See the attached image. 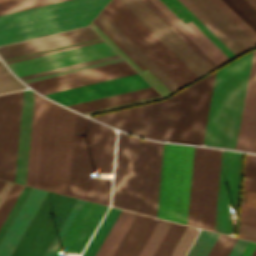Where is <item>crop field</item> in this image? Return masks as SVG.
<instances>
[{
  "label": "crop field",
  "instance_id": "120bbe31",
  "mask_svg": "<svg viewBox=\"0 0 256 256\" xmlns=\"http://www.w3.org/2000/svg\"><path fill=\"white\" fill-rule=\"evenodd\" d=\"M219 234L201 230L186 256H207Z\"/></svg>",
  "mask_w": 256,
  "mask_h": 256
},
{
  "label": "crop field",
  "instance_id": "89e229c0",
  "mask_svg": "<svg viewBox=\"0 0 256 256\" xmlns=\"http://www.w3.org/2000/svg\"><path fill=\"white\" fill-rule=\"evenodd\" d=\"M116 45H118L142 70L146 69L122 44H120L96 19L93 21Z\"/></svg>",
  "mask_w": 256,
  "mask_h": 256
},
{
  "label": "crop field",
  "instance_id": "b54c1fbb",
  "mask_svg": "<svg viewBox=\"0 0 256 256\" xmlns=\"http://www.w3.org/2000/svg\"><path fill=\"white\" fill-rule=\"evenodd\" d=\"M115 58H119V56L115 55V56H111V57H106V58L97 59V60H93V61L83 62V63L65 66V67H61V68H56V69H52V70H47V71H43V72L33 73V74H29V75L20 76L19 78L21 80H24V79H28V78H32V77H37V76H41V75H45V74H50V73H54V72H58V71H63V70L76 68V67H80V66H85V65L98 63V62H102V61H106V60H111V59H115Z\"/></svg>",
  "mask_w": 256,
  "mask_h": 256
},
{
  "label": "crop field",
  "instance_id": "0bd39190",
  "mask_svg": "<svg viewBox=\"0 0 256 256\" xmlns=\"http://www.w3.org/2000/svg\"><path fill=\"white\" fill-rule=\"evenodd\" d=\"M62 0H12L0 3V15Z\"/></svg>",
  "mask_w": 256,
  "mask_h": 256
},
{
  "label": "crop field",
  "instance_id": "5a996713",
  "mask_svg": "<svg viewBox=\"0 0 256 256\" xmlns=\"http://www.w3.org/2000/svg\"><path fill=\"white\" fill-rule=\"evenodd\" d=\"M176 96L93 117L122 130L158 140H169Z\"/></svg>",
  "mask_w": 256,
  "mask_h": 256
},
{
  "label": "crop field",
  "instance_id": "0fb4a251",
  "mask_svg": "<svg viewBox=\"0 0 256 256\" xmlns=\"http://www.w3.org/2000/svg\"><path fill=\"white\" fill-rule=\"evenodd\" d=\"M160 98H162V97L158 96V97L144 99V100L135 101V102H131V103H126V104H122V105H117V106H112V107L103 108V109H99V110L89 111V112H85V114L90 115V114H94V113H99V112H103V111H107V110H112V109H116V108H121V107L129 106V105H134V104H138V103H142V102H147V101H151V100H156V99H160Z\"/></svg>",
  "mask_w": 256,
  "mask_h": 256
},
{
  "label": "crop field",
  "instance_id": "0f1d7ab4",
  "mask_svg": "<svg viewBox=\"0 0 256 256\" xmlns=\"http://www.w3.org/2000/svg\"><path fill=\"white\" fill-rule=\"evenodd\" d=\"M245 163L256 166V156L246 154Z\"/></svg>",
  "mask_w": 256,
  "mask_h": 256
},
{
  "label": "crop field",
  "instance_id": "1d79db26",
  "mask_svg": "<svg viewBox=\"0 0 256 256\" xmlns=\"http://www.w3.org/2000/svg\"><path fill=\"white\" fill-rule=\"evenodd\" d=\"M246 243H247L246 240L237 239L234 247L232 248L228 256H239L243 248L245 247Z\"/></svg>",
  "mask_w": 256,
  "mask_h": 256
},
{
  "label": "crop field",
  "instance_id": "bd1437ed",
  "mask_svg": "<svg viewBox=\"0 0 256 256\" xmlns=\"http://www.w3.org/2000/svg\"><path fill=\"white\" fill-rule=\"evenodd\" d=\"M120 210L111 207L82 256H94Z\"/></svg>",
  "mask_w": 256,
  "mask_h": 256
},
{
  "label": "crop field",
  "instance_id": "78b8030e",
  "mask_svg": "<svg viewBox=\"0 0 256 256\" xmlns=\"http://www.w3.org/2000/svg\"><path fill=\"white\" fill-rule=\"evenodd\" d=\"M11 185H12V183L6 182L5 186L3 185L4 187H3L2 191L0 190L1 191L0 192V204L3 201L4 197L6 196V194H7L8 190L10 189Z\"/></svg>",
  "mask_w": 256,
  "mask_h": 256
},
{
  "label": "crop field",
  "instance_id": "ae1a2a85",
  "mask_svg": "<svg viewBox=\"0 0 256 256\" xmlns=\"http://www.w3.org/2000/svg\"><path fill=\"white\" fill-rule=\"evenodd\" d=\"M136 214L121 210L96 256H112Z\"/></svg>",
  "mask_w": 256,
  "mask_h": 256
},
{
  "label": "crop field",
  "instance_id": "db79e9e6",
  "mask_svg": "<svg viewBox=\"0 0 256 256\" xmlns=\"http://www.w3.org/2000/svg\"><path fill=\"white\" fill-rule=\"evenodd\" d=\"M255 248H256V243L248 241L246 247L244 248L240 256H251Z\"/></svg>",
  "mask_w": 256,
  "mask_h": 256
},
{
  "label": "crop field",
  "instance_id": "d32e631a",
  "mask_svg": "<svg viewBox=\"0 0 256 256\" xmlns=\"http://www.w3.org/2000/svg\"><path fill=\"white\" fill-rule=\"evenodd\" d=\"M170 225L171 222L159 219L138 256H153Z\"/></svg>",
  "mask_w": 256,
  "mask_h": 256
},
{
  "label": "crop field",
  "instance_id": "5d738f31",
  "mask_svg": "<svg viewBox=\"0 0 256 256\" xmlns=\"http://www.w3.org/2000/svg\"><path fill=\"white\" fill-rule=\"evenodd\" d=\"M29 190H30V187L24 186L23 190L21 191L20 195L15 201L13 207L11 208L10 212L8 213L7 217L5 218L4 222L0 227V239L4 234L5 230L7 229L8 225L10 224L11 220L13 219L14 215L16 214L17 210L19 209L21 203L23 202Z\"/></svg>",
  "mask_w": 256,
  "mask_h": 256
},
{
  "label": "crop field",
  "instance_id": "c035e120",
  "mask_svg": "<svg viewBox=\"0 0 256 256\" xmlns=\"http://www.w3.org/2000/svg\"><path fill=\"white\" fill-rule=\"evenodd\" d=\"M197 233L198 231L196 229L187 226L170 256H184Z\"/></svg>",
  "mask_w": 256,
  "mask_h": 256
},
{
  "label": "crop field",
  "instance_id": "1f2cbd36",
  "mask_svg": "<svg viewBox=\"0 0 256 256\" xmlns=\"http://www.w3.org/2000/svg\"><path fill=\"white\" fill-rule=\"evenodd\" d=\"M26 88L16 79L0 82V93Z\"/></svg>",
  "mask_w": 256,
  "mask_h": 256
},
{
  "label": "crop field",
  "instance_id": "3316defc",
  "mask_svg": "<svg viewBox=\"0 0 256 256\" xmlns=\"http://www.w3.org/2000/svg\"><path fill=\"white\" fill-rule=\"evenodd\" d=\"M23 91L0 96V178L13 181Z\"/></svg>",
  "mask_w": 256,
  "mask_h": 256
},
{
  "label": "crop field",
  "instance_id": "425ffa30",
  "mask_svg": "<svg viewBox=\"0 0 256 256\" xmlns=\"http://www.w3.org/2000/svg\"><path fill=\"white\" fill-rule=\"evenodd\" d=\"M238 237L256 241V225L240 221Z\"/></svg>",
  "mask_w": 256,
  "mask_h": 256
},
{
  "label": "crop field",
  "instance_id": "9d1cf04e",
  "mask_svg": "<svg viewBox=\"0 0 256 256\" xmlns=\"http://www.w3.org/2000/svg\"><path fill=\"white\" fill-rule=\"evenodd\" d=\"M244 176L256 179V167L245 164Z\"/></svg>",
  "mask_w": 256,
  "mask_h": 256
},
{
  "label": "crop field",
  "instance_id": "25e5ab78",
  "mask_svg": "<svg viewBox=\"0 0 256 256\" xmlns=\"http://www.w3.org/2000/svg\"><path fill=\"white\" fill-rule=\"evenodd\" d=\"M122 60H123L122 58H119V59H115V60H111V61H106V62H102V63H98V64H93V65H89V66H85V67H80V68H76V69H72V70H67V71H63V72H58V73H54V74H50V75H45V76H41V77H37V78L24 80V82L25 83L32 82V81H36V80H40V79H45V78H49V77H53V76H58V75L71 73V72H75V71H79V70H84V69H88V68H92V67H97V66L114 63V62H118V61H122Z\"/></svg>",
  "mask_w": 256,
  "mask_h": 256
},
{
  "label": "crop field",
  "instance_id": "4a817a6b",
  "mask_svg": "<svg viewBox=\"0 0 256 256\" xmlns=\"http://www.w3.org/2000/svg\"><path fill=\"white\" fill-rule=\"evenodd\" d=\"M98 37L99 36L90 27H86L69 32L3 46L0 47V53L4 57V59H7Z\"/></svg>",
  "mask_w": 256,
  "mask_h": 256
},
{
  "label": "crop field",
  "instance_id": "5142ce71",
  "mask_svg": "<svg viewBox=\"0 0 256 256\" xmlns=\"http://www.w3.org/2000/svg\"><path fill=\"white\" fill-rule=\"evenodd\" d=\"M136 72L125 62H118L41 81L28 83L39 92L46 94L90 83L135 74Z\"/></svg>",
  "mask_w": 256,
  "mask_h": 256
},
{
  "label": "crop field",
  "instance_id": "dafd665d",
  "mask_svg": "<svg viewBox=\"0 0 256 256\" xmlns=\"http://www.w3.org/2000/svg\"><path fill=\"white\" fill-rule=\"evenodd\" d=\"M224 62L235 57L213 34H211L178 0H161Z\"/></svg>",
  "mask_w": 256,
  "mask_h": 256
},
{
  "label": "crop field",
  "instance_id": "00972430",
  "mask_svg": "<svg viewBox=\"0 0 256 256\" xmlns=\"http://www.w3.org/2000/svg\"><path fill=\"white\" fill-rule=\"evenodd\" d=\"M44 105L45 100L35 95L26 185L36 188L38 183Z\"/></svg>",
  "mask_w": 256,
  "mask_h": 256
},
{
  "label": "crop field",
  "instance_id": "c39391a2",
  "mask_svg": "<svg viewBox=\"0 0 256 256\" xmlns=\"http://www.w3.org/2000/svg\"><path fill=\"white\" fill-rule=\"evenodd\" d=\"M7 1V0H0V2Z\"/></svg>",
  "mask_w": 256,
  "mask_h": 256
},
{
  "label": "crop field",
  "instance_id": "cbeb9de0",
  "mask_svg": "<svg viewBox=\"0 0 256 256\" xmlns=\"http://www.w3.org/2000/svg\"><path fill=\"white\" fill-rule=\"evenodd\" d=\"M115 54L116 53L105 42H102L76 49L13 62L9 63L8 65L17 76H20Z\"/></svg>",
  "mask_w": 256,
  "mask_h": 256
},
{
  "label": "crop field",
  "instance_id": "d23c7cc5",
  "mask_svg": "<svg viewBox=\"0 0 256 256\" xmlns=\"http://www.w3.org/2000/svg\"><path fill=\"white\" fill-rule=\"evenodd\" d=\"M218 7H220L243 31H245L255 42L256 35L245 25L243 24L220 0H212Z\"/></svg>",
  "mask_w": 256,
  "mask_h": 256
},
{
  "label": "crop field",
  "instance_id": "dd49c442",
  "mask_svg": "<svg viewBox=\"0 0 256 256\" xmlns=\"http://www.w3.org/2000/svg\"><path fill=\"white\" fill-rule=\"evenodd\" d=\"M221 150L195 147L187 224L214 227Z\"/></svg>",
  "mask_w": 256,
  "mask_h": 256
},
{
  "label": "crop field",
  "instance_id": "7b73153f",
  "mask_svg": "<svg viewBox=\"0 0 256 256\" xmlns=\"http://www.w3.org/2000/svg\"><path fill=\"white\" fill-rule=\"evenodd\" d=\"M243 187L256 190V180L244 177Z\"/></svg>",
  "mask_w": 256,
  "mask_h": 256
},
{
  "label": "crop field",
  "instance_id": "ae633e8c",
  "mask_svg": "<svg viewBox=\"0 0 256 256\" xmlns=\"http://www.w3.org/2000/svg\"><path fill=\"white\" fill-rule=\"evenodd\" d=\"M5 184L4 181H0V190L2 189L3 185Z\"/></svg>",
  "mask_w": 256,
  "mask_h": 256
},
{
  "label": "crop field",
  "instance_id": "92a150f3",
  "mask_svg": "<svg viewBox=\"0 0 256 256\" xmlns=\"http://www.w3.org/2000/svg\"><path fill=\"white\" fill-rule=\"evenodd\" d=\"M242 52L256 43L211 0H189Z\"/></svg>",
  "mask_w": 256,
  "mask_h": 256
},
{
  "label": "crop field",
  "instance_id": "d3111659",
  "mask_svg": "<svg viewBox=\"0 0 256 256\" xmlns=\"http://www.w3.org/2000/svg\"><path fill=\"white\" fill-rule=\"evenodd\" d=\"M101 12L119 30H121L157 67H159L179 88L186 85L147 46H145L120 20H118L106 7Z\"/></svg>",
  "mask_w": 256,
  "mask_h": 256
},
{
  "label": "crop field",
  "instance_id": "412701ff",
  "mask_svg": "<svg viewBox=\"0 0 256 256\" xmlns=\"http://www.w3.org/2000/svg\"><path fill=\"white\" fill-rule=\"evenodd\" d=\"M251 55L216 71L203 144L235 149Z\"/></svg>",
  "mask_w": 256,
  "mask_h": 256
},
{
  "label": "crop field",
  "instance_id": "f4fd0767",
  "mask_svg": "<svg viewBox=\"0 0 256 256\" xmlns=\"http://www.w3.org/2000/svg\"><path fill=\"white\" fill-rule=\"evenodd\" d=\"M74 119L47 101L38 188L68 195Z\"/></svg>",
  "mask_w": 256,
  "mask_h": 256
},
{
  "label": "crop field",
  "instance_id": "1d83c4d3",
  "mask_svg": "<svg viewBox=\"0 0 256 256\" xmlns=\"http://www.w3.org/2000/svg\"><path fill=\"white\" fill-rule=\"evenodd\" d=\"M221 1L256 34V11L245 0L236 1L255 19L251 17L235 0Z\"/></svg>",
  "mask_w": 256,
  "mask_h": 256
},
{
  "label": "crop field",
  "instance_id": "73cf0c24",
  "mask_svg": "<svg viewBox=\"0 0 256 256\" xmlns=\"http://www.w3.org/2000/svg\"><path fill=\"white\" fill-rule=\"evenodd\" d=\"M240 220L256 224V208L241 204Z\"/></svg>",
  "mask_w": 256,
  "mask_h": 256
},
{
  "label": "crop field",
  "instance_id": "d9b57169",
  "mask_svg": "<svg viewBox=\"0 0 256 256\" xmlns=\"http://www.w3.org/2000/svg\"><path fill=\"white\" fill-rule=\"evenodd\" d=\"M138 74L99 82L91 85L46 94L55 100L65 104L81 103L106 96L124 93L136 89L149 87Z\"/></svg>",
  "mask_w": 256,
  "mask_h": 256
},
{
  "label": "crop field",
  "instance_id": "dbb93151",
  "mask_svg": "<svg viewBox=\"0 0 256 256\" xmlns=\"http://www.w3.org/2000/svg\"><path fill=\"white\" fill-rule=\"evenodd\" d=\"M241 203L256 207V191L243 188Z\"/></svg>",
  "mask_w": 256,
  "mask_h": 256
},
{
  "label": "crop field",
  "instance_id": "ac0d7876",
  "mask_svg": "<svg viewBox=\"0 0 256 256\" xmlns=\"http://www.w3.org/2000/svg\"><path fill=\"white\" fill-rule=\"evenodd\" d=\"M104 126L77 114L69 195L109 205L111 179L92 178L112 173L116 133Z\"/></svg>",
  "mask_w": 256,
  "mask_h": 256
},
{
  "label": "crop field",
  "instance_id": "28ad6ade",
  "mask_svg": "<svg viewBox=\"0 0 256 256\" xmlns=\"http://www.w3.org/2000/svg\"><path fill=\"white\" fill-rule=\"evenodd\" d=\"M243 154L222 151L214 231L232 233L235 220L230 209H237Z\"/></svg>",
  "mask_w": 256,
  "mask_h": 256
},
{
  "label": "crop field",
  "instance_id": "eef30255",
  "mask_svg": "<svg viewBox=\"0 0 256 256\" xmlns=\"http://www.w3.org/2000/svg\"><path fill=\"white\" fill-rule=\"evenodd\" d=\"M158 95L159 94L152 87H149V88L136 90V91H132L124 94H119L111 97H106V98L89 101L81 104L70 105V107L78 111L85 112L89 110L99 109L103 107H108V106L117 105L121 103L154 97Z\"/></svg>",
  "mask_w": 256,
  "mask_h": 256
},
{
  "label": "crop field",
  "instance_id": "e1f06a70",
  "mask_svg": "<svg viewBox=\"0 0 256 256\" xmlns=\"http://www.w3.org/2000/svg\"><path fill=\"white\" fill-rule=\"evenodd\" d=\"M184 229V226L172 224L154 256H169Z\"/></svg>",
  "mask_w": 256,
  "mask_h": 256
},
{
  "label": "crop field",
  "instance_id": "22f410ed",
  "mask_svg": "<svg viewBox=\"0 0 256 256\" xmlns=\"http://www.w3.org/2000/svg\"><path fill=\"white\" fill-rule=\"evenodd\" d=\"M123 4V3H122ZM118 0H111L106 6L120 19L145 45H147L172 71L186 84L198 78L184 65L158 38H156L130 11Z\"/></svg>",
  "mask_w": 256,
  "mask_h": 256
},
{
  "label": "crop field",
  "instance_id": "5866460e",
  "mask_svg": "<svg viewBox=\"0 0 256 256\" xmlns=\"http://www.w3.org/2000/svg\"><path fill=\"white\" fill-rule=\"evenodd\" d=\"M148 5L190 48H192L212 69L218 67L206 56L186 35H184L163 13H161L149 0H142Z\"/></svg>",
  "mask_w": 256,
  "mask_h": 256
},
{
  "label": "crop field",
  "instance_id": "750c4746",
  "mask_svg": "<svg viewBox=\"0 0 256 256\" xmlns=\"http://www.w3.org/2000/svg\"><path fill=\"white\" fill-rule=\"evenodd\" d=\"M163 12L184 34H186L206 55L218 66L224 63L210 48H208L180 19H178L160 0H150Z\"/></svg>",
  "mask_w": 256,
  "mask_h": 256
},
{
  "label": "crop field",
  "instance_id": "0765c3eb",
  "mask_svg": "<svg viewBox=\"0 0 256 256\" xmlns=\"http://www.w3.org/2000/svg\"><path fill=\"white\" fill-rule=\"evenodd\" d=\"M102 41L103 40L96 41V42H91V43H87V44H82V45H78V46H74V47H69V48H65V49H60V50H56V51H51V52H47V53H42V54H38V55H33V56H29V57H25V58H20V59H16V60H11V61H7L6 63L13 62V61H18V60H22V59H27V58H31V57H35V56H40V55H44V54H49V53H53V52H58V51H62V50H67V49H71V48H76V47H80V46H84V45H89V44H93V43H98V42H102Z\"/></svg>",
  "mask_w": 256,
  "mask_h": 256
},
{
  "label": "crop field",
  "instance_id": "d14b1444",
  "mask_svg": "<svg viewBox=\"0 0 256 256\" xmlns=\"http://www.w3.org/2000/svg\"><path fill=\"white\" fill-rule=\"evenodd\" d=\"M252 256H256V249H255L254 253L252 254Z\"/></svg>",
  "mask_w": 256,
  "mask_h": 256
},
{
  "label": "crop field",
  "instance_id": "8a807250",
  "mask_svg": "<svg viewBox=\"0 0 256 256\" xmlns=\"http://www.w3.org/2000/svg\"><path fill=\"white\" fill-rule=\"evenodd\" d=\"M144 141L118 133L112 205L137 212ZM163 143L145 140L138 212L156 217ZM194 147L164 143L157 217L186 224Z\"/></svg>",
  "mask_w": 256,
  "mask_h": 256
},
{
  "label": "crop field",
  "instance_id": "d8731c3e",
  "mask_svg": "<svg viewBox=\"0 0 256 256\" xmlns=\"http://www.w3.org/2000/svg\"><path fill=\"white\" fill-rule=\"evenodd\" d=\"M75 201L48 192L11 256H43Z\"/></svg>",
  "mask_w": 256,
  "mask_h": 256
},
{
  "label": "crop field",
  "instance_id": "d1516ede",
  "mask_svg": "<svg viewBox=\"0 0 256 256\" xmlns=\"http://www.w3.org/2000/svg\"><path fill=\"white\" fill-rule=\"evenodd\" d=\"M198 77L212 70L141 0H119Z\"/></svg>",
  "mask_w": 256,
  "mask_h": 256
},
{
  "label": "crop field",
  "instance_id": "a9b5d70f",
  "mask_svg": "<svg viewBox=\"0 0 256 256\" xmlns=\"http://www.w3.org/2000/svg\"><path fill=\"white\" fill-rule=\"evenodd\" d=\"M33 99H34V93L29 90H24L16 177H15L16 183H20L24 185L26 180Z\"/></svg>",
  "mask_w": 256,
  "mask_h": 256
},
{
  "label": "crop field",
  "instance_id": "733c2abd",
  "mask_svg": "<svg viewBox=\"0 0 256 256\" xmlns=\"http://www.w3.org/2000/svg\"><path fill=\"white\" fill-rule=\"evenodd\" d=\"M106 209V206L85 201L53 256H58L63 249L81 252Z\"/></svg>",
  "mask_w": 256,
  "mask_h": 256
},
{
  "label": "crop field",
  "instance_id": "bc2a9ffb",
  "mask_svg": "<svg viewBox=\"0 0 256 256\" xmlns=\"http://www.w3.org/2000/svg\"><path fill=\"white\" fill-rule=\"evenodd\" d=\"M46 194V191L31 188L0 240V256L11 255Z\"/></svg>",
  "mask_w": 256,
  "mask_h": 256
},
{
  "label": "crop field",
  "instance_id": "447ae74e",
  "mask_svg": "<svg viewBox=\"0 0 256 256\" xmlns=\"http://www.w3.org/2000/svg\"><path fill=\"white\" fill-rule=\"evenodd\" d=\"M15 78L13 75H11L6 68L2 65L0 62V81L8 80V79H13Z\"/></svg>",
  "mask_w": 256,
  "mask_h": 256
},
{
  "label": "crop field",
  "instance_id": "e1d0b9f6",
  "mask_svg": "<svg viewBox=\"0 0 256 256\" xmlns=\"http://www.w3.org/2000/svg\"><path fill=\"white\" fill-rule=\"evenodd\" d=\"M256 10V0H246Z\"/></svg>",
  "mask_w": 256,
  "mask_h": 256
},
{
  "label": "crop field",
  "instance_id": "e52e79f7",
  "mask_svg": "<svg viewBox=\"0 0 256 256\" xmlns=\"http://www.w3.org/2000/svg\"><path fill=\"white\" fill-rule=\"evenodd\" d=\"M214 74L178 93L170 141L202 143Z\"/></svg>",
  "mask_w": 256,
  "mask_h": 256
},
{
  "label": "crop field",
  "instance_id": "c21b1889",
  "mask_svg": "<svg viewBox=\"0 0 256 256\" xmlns=\"http://www.w3.org/2000/svg\"><path fill=\"white\" fill-rule=\"evenodd\" d=\"M235 241L236 238L220 234L208 256H227Z\"/></svg>",
  "mask_w": 256,
  "mask_h": 256
},
{
  "label": "crop field",
  "instance_id": "730fd06b",
  "mask_svg": "<svg viewBox=\"0 0 256 256\" xmlns=\"http://www.w3.org/2000/svg\"><path fill=\"white\" fill-rule=\"evenodd\" d=\"M115 36L151 73H153L171 92L179 89L161 70H159L121 31H119L101 12L96 18Z\"/></svg>",
  "mask_w": 256,
  "mask_h": 256
},
{
  "label": "crop field",
  "instance_id": "214f88e0",
  "mask_svg": "<svg viewBox=\"0 0 256 256\" xmlns=\"http://www.w3.org/2000/svg\"><path fill=\"white\" fill-rule=\"evenodd\" d=\"M236 149L256 151V50L253 53Z\"/></svg>",
  "mask_w": 256,
  "mask_h": 256
},
{
  "label": "crop field",
  "instance_id": "03da06ac",
  "mask_svg": "<svg viewBox=\"0 0 256 256\" xmlns=\"http://www.w3.org/2000/svg\"><path fill=\"white\" fill-rule=\"evenodd\" d=\"M23 185L13 184L11 189L9 190L7 196L5 197L3 203L0 206V225L12 207L14 201L22 190Z\"/></svg>",
  "mask_w": 256,
  "mask_h": 256
},
{
  "label": "crop field",
  "instance_id": "b80d0937",
  "mask_svg": "<svg viewBox=\"0 0 256 256\" xmlns=\"http://www.w3.org/2000/svg\"><path fill=\"white\" fill-rule=\"evenodd\" d=\"M83 203H84L83 200L77 199L72 210L70 211L69 215L67 216L66 220L64 221L62 227L60 228V230L57 233L56 237L54 238L52 244L50 245L49 249L47 250L45 256L53 255L54 251L56 250L57 246L59 245L60 241L62 240L63 236L65 235L66 231L68 230L69 226L71 225L72 221L74 220L75 216L77 215V213L80 210Z\"/></svg>",
  "mask_w": 256,
  "mask_h": 256
},
{
  "label": "crop field",
  "instance_id": "4177f3b9",
  "mask_svg": "<svg viewBox=\"0 0 256 256\" xmlns=\"http://www.w3.org/2000/svg\"><path fill=\"white\" fill-rule=\"evenodd\" d=\"M157 221L137 214L113 256H137Z\"/></svg>",
  "mask_w": 256,
  "mask_h": 256
},
{
  "label": "crop field",
  "instance_id": "34b2d1b8",
  "mask_svg": "<svg viewBox=\"0 0 256 256\" xmlns=\"http://www.w3.org/2000/svg\"><path fill=\"white\" fill-rule=\"evenodd\" d=\"M109 0H67L0 16V45L88 25Z\"/></svg>",
  "mask_w": 256,
  "mask_h": 256
},
{
  "label": "crop field",
  "instance_id": "028f5c9d",
  "mask_svg": "<svg viewBox=\"0 0 256 256\" xmlns=\"http://www.w3.org/2000/svg\"><path fill=\"white\" fill-rule=\"evenodd\" d=\"M186 6L212 33H214L236 56L242 53L228 38H226L196 7L188 0H179Z\"/></svg>",
  "mask_w": 256,
  "mask_h": 256
}]
</instances>
